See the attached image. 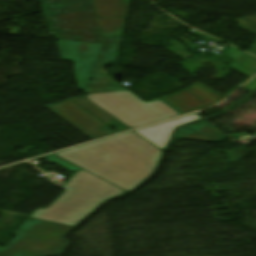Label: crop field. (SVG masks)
Masks as SVG:
<instances>
[{
  "mask_svg": "<svg viewBox=\"0 0 256 256\" xmlns=\"http://www.w3.org/2000/svg\"><path fill=\"white\" fill-rule=\"evenodd\" d=\"M42 6L59 40L103 43L93 0H46Z\"/></svg>",
  "mask_w": 256,
  "mask_h": 256,
  "instance_id": "obj_1",
  "label": "crop field"
},
{
  "mask_svg": "<svg viewBox=\"0 0 256 256\" xmlns=\"http://www.w3.org/2000/svg\"><path fill=\"white\" fill-rule=\"evenodd\" d=\"M131 129L180 115L161 102H144L129 91L84 96Z\"/></svg>",
  "mask_w": 256,
  "mask_h": 256,
  "instance_id": "obj_2",
  "label": "crop field"
},
{
  "mask_svg": "<svg viewBox=\"0 0 256 256\" xmlns=\"http://www.w3.org/2000/svg\"><path fill=\"white\" fill-rule=\"evenodd\" d=\"M123 37L124 36L119 35L115 37L103 38V46L98 54L82 95L126 90L111 79L104 70V66L118 61ZM92 78L95 80H91Z\"/></svg>",
  "mask_w": 256,
  "mask_h": 256,
  "instance_id": "obj_3",
  "label": "crop field"
},
{
  "mask_svg": "<svg viewBox=\"0 0 256 256\" xmlns=\"http://www.w3.org/2000/svg\"><path fill=\"white\" fill-rule=\"evenodd\" d=\"M234 62L228 66L237 70L238 72L252 77L256 74V58L244 52L240 53L234 59Z\"/></svg>",
  "mask_w": 256,
  "mask_h": 256,
  "instance_id": "obj_4",
  "label": "crop field"
},
{
  "mask_svg": "<svg viewBox=\"0 0 256 256\" xmlns=\"http://www.w3.org/2000/svg\"><path fill=\"white\" fill-rule=\"evenodd\" d=\"M243 89L255 91L256 90V78L254 80H252L249 84H247L245 87H243Z\"/></svg>",
  "mask_w": 256,
  "mask_h": 256,
  "instance_id": "obj_5",
  "label": "crop field"
}]
</instances>
